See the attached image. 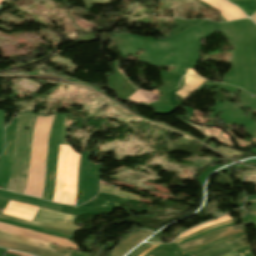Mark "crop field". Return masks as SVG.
Listing matches in <instances>:
<instances>
[{
	"label": "crop field",
	"instance_id": "1",
	"mask_svg": "<svg viewBox=\"0 0 256 256\" xmlns=\"http://www.w3.org/2000/svg\"><path fill=\"white\" fill-rule=\"evenodd\" d=\"M53 116H38L36 119L30 156L29 176L26 190L24 192L25 195L42 197L47 153V138Z\"/></svg>",
	"mask_w": 256,
	"mask_h": 256
},
{
	"label": "crop field",
	"instance_id": "2",
	"mask_svg": "<svg viewBox=\"0 0 256 256\" xmlns=\"http://www.w3.org/2000/svg\"><path fill=\"white\" fill-rule=\"evenodd\" d=\"M32 114L20 115L17 134H16V144L14 152V162L10 181L6 190L9 191H18L20 184V177L22 173V163H23V154L26 142V128L28 126L30 117Z\"/></svg>",
	"mask_w": 256,
	"mask_h": 256
},
{
	"label": "crop field",
	"instance_id": "3",
	"mask_svg": "<svg viewBox=\"0 0 256 256\" xmlns=\"http://www.w3.org/2000/svg\"><path fill=\"white\" fill-rule=\"evenodd\" d=\"M80 155L68 145L65 168L64 190L61 203L74 205L76 198V181Z\"/></svg>",
	"mask_w": 256,
	"mask_h": 256
},
{
	"label": "crop field",
	"instance_id": "4",
	"mask_svg": "<svg viewBox=\"0 0 256 256\" xmlns=\"http://www.w3.org/2000/svg\"><path fill=\"white\" fill-rule=\"evenodd\" d=\"M76 216L57 213L40 208L33 222L65 229L71 231H81V228L75 226L74 219Z\"/></svg>",
	"mask_w": 256,
	"mask_h": 256
},
{
	"label": "crop field",
	"instance_id": "5",
	"mask_svg": "<svg viewBox=\"0 0 256 256\" xmlns=\"http://www.w3.org/2000/svg\"><path fill=\"white\" fill-rule=\"evenodd\" d=\"M0 239L19 243V244L34 246V247L41 248L44 250L64 254L67 256H69V254L72 252L71 249L63 248V247L53 245V244H50L47 242H43V241H39V240H35V239L23 237V236H18V235H14V234L2 232V231H0Z\"/></svg>",
	"mask_w": 256,
	"mask_h": 256
},
{
	"label": "crop field",
	"instance_id": "6",
	"mask_svg": "<svg viewBox=\"0 0 256 256\" xmlns=\"http://www.w3.org/2000/svg\"><path fill=\"white\" fill-rule=\"evenodd\" d=\"M0 230L15 233V234H19V235L28 236V237H31V238L47 241V242H50V243H53V244H57V245H61V246H64V247H68V248H72V249L77 250L76 245L71 244L68 240H65V239L51 237V236L43 235V234L36 233V232H33V231H29V230H25V229L13 227V226L1 224V223H0Z\"/></svg>",
	"mask_w": 256,
	"mask_h": 256
},
{
	"label": "crop field",
	"instance_id": "7",
	"mask_svg": "<svg viewBox=\"0 0 256 256\" xmlns=\"http://www.w3.org/2000/svg\"><path fill=\"white\" fill-rule=\"evenodd\" d=\"M150 234L152 232L147 230H138L129 234L111 251L110 256H123Z\"/></svg>",
	"mask_w": 256,
	"mask_h": 256
},
{
	"label": "crop field",
	"instance_id": "8",
	"mask_svg": "<svg viewBox=\"0 0 256 256\" xmlns=\"http://www.w3.org/2000/svg\"><path fill=\"white\" fill-rule=\"evenodd\" d=\"M38 208L9 201L3 214L32 221Z\"/></svg>",
	"mask_w": 256,
	"mask_h": 256
},
{
	"label": "crop field",
	"instance_id": "9",
	"mask_svg": "<svg viewBox=\"0 0 256 256\" xmlns=\"http://www.w3.org/2000/svg\"><path fill=\"white\" fill-rule=\"evenodd\" d=\"M207 4L221 11V14L228 20H238L246 18V16L234 5L224 0H202Z\"/></svg>",
	"mask_w": 256,
	"mask_h": 256
},
{
	"label": "crop field",
	"instance_id": "10",
	"mask_svg": "<svg viewBox=\"0 0 256 256\" xmlns=\"http://www.w3.org/2000/svg\"><path fill=\"white\" fill-rule=\"evenodd\" d=\"M66 149H67V145H60L56 181H55V196L53 200L59 203L61 200V195L63 190L64 167L66 163Z\"/></svg>",
	"mask_w": 256,
	"mask_h": 256
},
{
	"label": "crop field",
	"instance_id": "11",
	"mask_svg": "<svg viewBox=\"0 0 256 256\" xmlns=\"http://www.w3.org/2000/svg\"><path fill=\"white\" fill-rule=\"evenodd\" d=\"M36 117H37L36 115H32L30 120L29 130H28L25 155H24L23 173L21 177V185L18 191L21 194L23 193L26 186V177L28 175V168H29V156H30V150H31L32 132H33V126H34Z\"/></svg>",
	"mask_w": 256,
	"mask_h": 256
},
{
	"label": "crop field",
	"instance_id": "12",
	"mask_svg": "<svg viewBox=\"0 0 256 256\" xmlns=\"http://www.w3.org/2000/svg\"><path fill=\"white\" fill-rule=\"evenodd\" d=\"M241 229H237V230H234L233 227H229V228H223V229H219V230H216V231H213L209 234H206L198 239H195L193 241H190L188 243H185V244H182L180 245V248L185 251L187 249H190L192 247H195L197 245H200L206 241H209L213 238H216L218 236H221V235H225V234H229V233H232V232H236V231H240Z\"/></svg>",
	"mask_w": 256,
	"mask_h": 256
},
{
	"label": "crop field",
	"instance_id": "13",
	"mask_svg": "<svg viewBox=\"0 0 256 256\" xmlns=\"http://www.w3.org/2000/svg\"><path fill=\"white\" fill-rule=\"evenodd\" d=\"M0 247L13 249V250H18V251L38 255V256H62V255H59V254H56V253L44 251V250L37 249V248H34V247L19 245V244L6 242V241H2V240H0Z\"/></svg>",
	"mask_w": 256,
	"mask_h": 256
},
{
	"label": "crop field",
	"instance_id": "14",
	"mask_svg": "<svg viewBox=\"0 0 256 256\" xmlns=\"http://www.w3.org/2000/svg\"><path fill=\"white\" fill-rule=\"evenodd\" d=\"M204 80L195 78L193 76H186L185 77V85H183L176 94L182 96L185 100L197 87L202 85Z\"/></svg>",
	"mask_w": 256,
	"mask_h": 256
},
{
	"label": "crop field",
	"instance_id": "15",
	"mask_svg": "<svg viewBox=\"0 0 256 256\" xmlns=\"http://www.w3.org/2000/svg\"><path fill=\"white\" fill-rule=\"evenodd\" d=\"M158 91L153 90L152 92L145 91V90H137L135 93H133L127 100L136 102V103H150L157 99L158 97Z\"/></svg>",
	"mask_w": 256,
	"mask_h": 256
},
{
	"label": "crop field",
	"instance_id": "16",
	"mask_svg": "<svg viewBox=\"0 0 256 256\" xmlns=\"http://www.w3.org/2000/svg\"><path fill=\"white\" fill-rule=\"evenodd\" d=\"M248 245H249L248 240L247 241L238 242V243H234V244L228 245V246H226L224 248H221L219 250L210 252V253L206 254L205 256H222V255H224V254H226L228 252H231L233 250H236V249L248 246Z\"/></svg>",
	"mask_w": 256,
	"mask_h": 256
},
{
	"label": "crop field",
	"instance_id": "17",
	"mask_svg": "<svg viewBox=\"0 0 256 256\" xmlns=\"http://www.w3.org/2000/svg\"><path fill=\"white\" fill-rule=\"evenodd\" d=\"M247 239V236H238V237H235V238H232V239H228V240H225L223 242H219V243H216L200 252H197L191 256H202L216 248H219V247H222L224 245H227V244H230V243H233V242H236V241H240V240H246Z\"/></svg>",
	"mask_w": 256,
	"mask_h": 256
},
{
	"label": "crop field",
	"instance_id": "18",
	"mask_svg": "<svg viewBox=\"0 0 256 256\" xmlns=\"http://www.w3.org/2000/svg\"><path fill=\"white\" fill-rule=\"evenodd\" d=\"M0 217L5 218V219H9V220H13V221H18V222L30 224V225H34V226H38V227H41V228H44V229H47V230H51V231H55V232H59V233H63V234H68V235H72V236L75 235L74 232H68V231H65V230L56 229V228H52V227H48V226H44V225H40V224H36V223H32V222L20 220V219H17V218L6 216V215H1L0 214Z\"/></svg>",
	"mask_w": 256,
	"mask_h": 256
},
{
	"label": "crop field",
	"instance_id": "19",
	"mask_svg": "<svg viewBox=\"0 0 256 256\" xmlns=\"http://www.w3.org/2000/svg\"><path fill=\"white\" fill-rule=\"evenodd\" d=\"M238 5L248 16L256 11V1L249 2H232Z\"/></svg>",
	"mask_w": 256,
	"mask_h": 256
},
{
	"label": "crop field",
	"instance_id": "20",
	"mask_svg": "<svg viewBox=\"0 0 256 256\" xmlns=\"http://www.w3.org/2000/svg\"><path fill=\"white\" fill-rule=\"evenodd\" d=\"M100 191L112 193V194H115V195L131 198V199H135V200L139 201V197L134 195V194L124 192V191L115 190V189H112V188H109V187H106V186L101 185Z\"/></svg>",
	"mask_w": 256,
	"mask_h": 256
},
{
	"label": "crop field",
	"instance_id": "21",
	"mask_svg": "<svg viewBox=\"0 0 256 256\" xmlns=\"http://www.w3.org/2000/svg\"><path fill=\"white\" fill-rule=\"evenodd\" d=\"M70 19H71L73 24H75L77 27H79L80 29H82L84 31L96 27V26L88 23L87 21H85L83 19H78V18L73 17L71 15H70Z\"/></svg>",
	"mask_w": 256,
	"mask_h": 256
},
{
	"label": "crop field",
	"instance_id": "22",
	"mask_svg": "<svg viewBox=\"0 0 256 256\" xmlns=\"http://www.w3.org/2000/svg\"><path fill=\"white\" fill-rule=\"evenodd\" d=\"M216 149H218V150L222 151L223 153H225L229 156H232V157L237 156V157L240 158V156L242 155L241 152H238L236 150H232V149H229V148H226V147H222V146H220Z\"/></svg>",
	"mask_w": 256,
	"mask_h": 256
},
{
	"label": "crop field",
	"instance_id": "23",
	"mask_svg": "<svg viewBox=\"0 0 256 256\" xmlns=\"http://www.w3.org/2000/svg\"><path fill=\"white\" fill-rule=\"evenodd\" d=\"M153 244H143L141 246H139L138 248H136L134 251H132L129 255L127 256H138L141 252H143L144 250L148 249L149 247H151Z\"/></svg>",
	"mask_w": 256,
	"mask_h": 256
},
{
	"label": "crop field",
	"instance_id": "24",
	"mask_svg": "<svg viewBox=\"0 0 256 256\" xmlns=\"http://www.w3.org/2000/svg\"><path fill=\"white\" fill-rule=\"evenodd\" d=\"M230 223H233V221L231 220V221H228V222H225V223H221V224L214 225V226L209 227V228H207V229H205V230H202V231L196 232V233H194V234H191V235H189V236H187V237H185V238H181V239H179V240H177V241H175V242L178 243V242H180V241H182V240H185V239H187V238H189V237H191V236L200 234V233H202V232H204V231H206V230H208V229L216 228V227H218V226H221V225H224V224H230Z\"/></svg>",
	"mask_w": 256,
	"mask_h": 256
},
{
	"label": "crop field",
	"instance_id": "25",
	"mask_svg": "<svg viewBox=\"0 0 256 256\" xmlns=\"http://www.w3.org/2000/svg\"><path fill=\"white\" fill-rule=\"evenodd\" d=\"M241 232H244V231H241ZM236 233H240V232H236ZM236 233H233V234H236ZM229 235H232V234H229ZM229 235H226V236H229ZM226 236H222V237H226ZM222 237H218V238H216V239H214V240H211V241H209V242H207V243H205V244H202V245H200V246H197V247H195V248H193V249H190V250H187V251H185V252L188 253V252L194 251V250H196V249H198V248H200V247H203V246H205V245H207V244H209V243H211V242H213V241H215V240H217V239H220V238H222Z\"/></svg>",
	"mask_w": 256,
	"mask_h": 256
},
{
	"label": "crop field",
	"instance_id": "26",
	"mask_svg": "<svg viewBox=\"0 0 256 256\" xmlns=\"http://www.w3.org/2000/svg\"><path fill=\"white\" fill-rule=\"evenodd\" d=\"M93 4L99 5V4H111L110 0H92Z\"/></svg>",
	"mask_w": 256,
	"mask_h": 256
},
{
	"label": "crop field",
	"instance_id": "27",
	"mask_svg": "<svg viewBox=\"0 0 256 256\" xmlns=\"http://www.w3.org/2000/svg\"><path fill=\"white\" fill-rule=\"evenodd\" d=\"M82 2L84 4L86 10L94 6L92 4L91 0H82Z\"/></svg>",
	"mask_w": 256,
	"mask_h": 256
},
{
	"label": "crop field",
	"instance_id": "28",
	"mask_svg": "<svg viewBox=\"0 0 256 256\" xmlns=\"http://www.w3.org/2000/svg\"><path fill=\"white\" fill-rule=\"evenodd\" d=\"M187 74H194V75H196V76H199V77H201L200 75H198L196 72H194V71H192V70H187V72H186V74L185 75H187Z\"/></svg>",
	"mask_w": 256,
	"mask_h": 256
},
{
	"label": "crop field",
	"instance_id": "29",
	"mask_svg": "<svg viewBox=\"0 0 256 256\" xmlns=\"http://www.w3.org/2000/svg\"><path fill=\"white\" fill-rule=\"evenodd\" d=\"M158 245H155L151 248H149L148 250H146L145 252H143L142 254H140L139 256H143L145 253H147L148 251L152 250L153 248L157 247Z\"/></svg>",
	"mask_w": 256,
	"mask_h": 256
},
{
	"label": "crop field",
	"instance_id": "30",
	"mask_svg": "<svg viewBox=\"0 0 256 256\" xmlns=\"http://www.w3.org/2000/svg\"><path fill=\"white\" fill-rule=\"evenodd\" d=\"M235 255H237V253H236L235 251H233V252H231V253H229V254H226V255H224V256H235Z\"/></svg>",
	"mask_w": 256,
	"mask_h": 256
},
{
	"label": "crop field",
	"instance_id": "31",
	"mask_svg": "<svg viewBox=\"0 0 256 256\" xmlns=\"http://www.w3.org/2000/svg\"><path fill=\"white\" fill-rule=\"evenodd\" d=\"M252 21L256 23V13L251 17Z\"/></svg>",
	"mask_w": 256,
	"mask_h": 256
},
{
	"label": "crop field",
	"instance_id": "32",
	"mask_svg": "<svg viewBox=\"0 0 256 256\" xmlns=\"http://www.w3.org/2000/svg\"><path fill=\"white\" fill-rule=\"evenodd\" d=\"M230 1H248V0H230Z\"/></svg>",
	"mask_w": 256,
	"mask_h": 256
},
{
	"label": "crop field",
	"instance_id": "33",
	"mask_svg": "<svg viewBox=\"0 0 256 256\" xmlns=\"http://www.w3.org/2000/svg\"><path fill=\"white\" fill-rule=\"evenodd\" d=\"M249 202H256V200H251V201H249Z\"/></svg>",
	"mask_w": 256,
	"mask_h": 256
},
{
	"label": "crop field",
	"instance_id": "34",
	"mask_svg": "<svg viewBox=\"0 0 256 256\" xmlns=\"http://www.w3.org/2000/svg\"><path fill=\"white\" fill-rule=\"evenodd\" d=\"M3 210L0 209V213H2Z\"/></svg>",
	"mask_w": 256,
	"mask_h": 256
},
{
	"label": "crop field",
	"instance_id": "35",
	"mask_svg": "<svg viewBox=\"0 0 256 256\" xmlns=\"http://www.w3.org/2000/svg\"><path fill=\"white\" fill-rule=\"evenodd\" d=\"M251 214H256V213H251Z\"/></svg>",
	"mask_w": 256,
	"mask_h": 256
},
{
	"label": "crop field",
	"instance_id": "36",
	"mask_svg": "<svg viewBox=\"0 0 256 256\" xmlns=\"http://www.w3.org/2000/svg\"><path fill=\"white\" fill-rule=\"evenodd\" d=\"M149 256H152V255H149Z\"/></svg>",
	"mask_w": 256,
	"mask_h": 256
},
{
	"label": "crop field",
	"instance_id": "37",
	"mask_svg": "<svg viewBox=\"0 0 256 256\" xmlns=\"http://www.w3.org/2000/svg\"><path fill=\"white\" fill-rule=\"evenodd\" d=\"M237 256H239V255H237Z\"/></svg>",
	"mask_w": 256,
	"mask_h": 256
}]
</instances>
